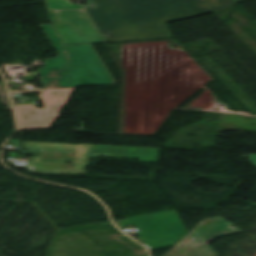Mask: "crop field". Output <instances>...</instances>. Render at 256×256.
I'll return each mask as SVG.
<instances>
[{
  "instance_id": "34b2d1b8",
  "label": "crop field",
  "mask_w": 256,
  "mask_h": 256,
  "mask_svg": "<svg viewBox=\"0 0 256 256\" xmlns=\"http://www.w3.org/2000/svg\"><path fill=\"white\" fill-rule=\"evenodd\" d=\"M230 225L221 216L203 220L165 256H218L207 243L215 238L242 233Z\"/></svg>"
},
{
  "instance_id": "d8731c3e",
  "label": "crop field",
  "mask_w": 256,
  "mask_h": 256,
  "mask_svg": "<svg viewBox=\"0 0 256 256\" xmlns=\"http://www.w3.org/2000/svg\"><path fill=\"white\" fill-rule=\"evenodd\" d=\"M251 161L254 163V165L256 166V154H248Z\"/></svg>"
},
{
  "instance_id": "e52e79f7",
  "label": "crop field",
  "mask_w": 256,
  "mask_h": 256,
  "mask_svg": "<svg viewBox=\"0 0 256 256\" xmlns=\"http://www.w3.org/2000/svg\"><path fill=\"white\" fill-rule=\"evenodd\" d=\"M109 225H111V223L107 222V223H101V224H95V225H89V226H83V227L59 230V231H56L55 234L64 233V232H71V231H77V230H83V229L96 228V227H103V226H109Z\"/></svg>"
},
{
  "instance_id": "dd49c442",
  "label": "crop field",
  "mask_w": 256,
  "mask_h": 256,
  "mask_svg": "<svg viewBox=\"0 0 256 256\" xmlns=\"http://www.w3.org/2000/svg\"><path fill=\"white\" fill-rule=\"evenodd\" d=\"M201 15L237 7L234 0H195Z\"/></svg>"
},
{
  "instance_id": "8a807250",
  "label": "crop field",
  "mask_w": 256,
  "mask_h": 256,
  "mask_svg": "<svg viewBox=\"0 0 256 256\" xmlns=\"http://www.w3.org/2000/svg\"><path fill=\"white\" fill-rule=\"evenodd\" d=\"M106 43L173 37L166 22L200 15L194 0H91Z\"/></svg>"
},
{
  "instance_id": "412701ff",
  "label": "crop field",
  "mask_w": 256,
  "mask_h": 256,
  "mask_svg": "<svg viewBox=\"0 0 256 256\" xmlns=\"http://www.w3.org/2000/svg\"><path fill=\"white\" fill-rule=\"evenodd\" d=\"M75 88L44 90L40 95L44 108L15 106L20 130L49 128Z\"/></svg>"
},
{
  "instance_id": "ac0d7876",
  "label": "crop field",
  "mask_w": 256,
  "mask_h": 256,
  "mask_svg": "<svg viewBox=\"0 0 256 256\" xmlns=\"http://www.w3.org/2000/svg\"><path fill=\"white\" fill-rule=\"evenodd\" d=\"M41 26L59 53L38 70L45 89L115 84L92 45L64 46L51 25Z\"/></svg>"
},
{
  "instance_id": "f4fd0767",
  "label": "crop field",
  "mask_w": 256,
  "mask_h": 256,
  "mask_svg": "<svg viewBox=\"0 0 256 256\" xmlns=\"http://www.w3.org/2000/svg\"><path fill=\"white\" fill-rule=\"evenodd\" d=\"M24 149H28V151L38 153H41L42 150L74 152L68 150H54L30 147H24ZM160 151L161 149L153 148L94 145L91 158H97V156L132 158L140 159L141 161L145 162L158 163ZM66 161H70V163L67 164ZM72 166L73 160L43 158V169H72Z\"/></svg>"
},
{
  "instance_id": "5a996713",
  "label": "crop field",
  "mask_w": 256,
  "mask_h": 256,
  "mask_svg": "<svg viewBox=\"0 0 256 256\" xmlns=\"http://www.w3.org/2000/svg\"><path fill=\"white\" fill-rule=\"evenodd\" d=\"M236 2L243 1V0H235Z\"/></svg>"
}]
</instances>
